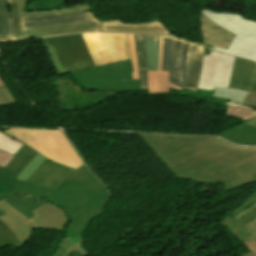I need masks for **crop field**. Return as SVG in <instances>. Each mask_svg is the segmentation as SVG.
I'll list each match as a JSON object with an SVG mask.
<instances>
[{"mask_svg":"<svg viewBox=\"0 0 256 256\" xmlns=\"http://www.w3.org/2000/svg\"><path fill=\"white\" fill-rule=\"evenodd\" d=\"M204 47L179 38L164 36L162 70H169V81L196 91Z\"/></svg>","mask_w":256,"mask_h":256,"instance_id":"crop-field-3","label":"crop field"},{"mask_svg":"<svg viewBox=\"0 0 256 256\" xmlns=\"http://www.w3.org/2000/svg\"><path fill=\"white\" fill-rule=\"evenodd\" d=\"M161 35L160 48H159V71H148V83L150 95L156 94H170V88L181 89L168 82V71H161Z\"/></svg>","mask_w":256,"mask_h":256,"instance_id":"crop-field-19","label":"crop field"},{"mask_svg":"<svg viewBox=\"0 0 256 256\" xmlns=\"http://www.w3.org/2000/svg\"><path fill=\"white\" fill-rule=\"evenodd\" d=\"M243 243L247 246L250 252L242 256H256V240L252 239L244 241Z\"/></svg>","mask_w":256,"mask_h":256,"instance_id":"crop-field-35","label":"crop field"},{"mask_svg":"<svg viewBox=\"0 0 256 256\" xmlns=\"http://www.w3.org/2000/svg\"><path fill=\"white\" fill-rule=\"evenodd\" d=\"M73 171L46 158L27 181L56 188Z\"/></svg>","mask_w":256,"mask_h":256,"instance_id":"crop-field-13","label":"crop field"},{"mask_svg":"<svg viewBox=\"0 0 256 256\" xmlns=\"http://www.w3.org/2000/svg\"><path fill=\"white\" fill-rule=\"evenodd\" d=\"M102 31L105 32H128V33H150L169 34L165 27L158 21L146 24H123L121 21H102Z\"/></svg>","mask_w":256,"mask_h":256,"instance_id":"crop-field-14","label":"crop field"},{"mask_svg":"<svg viewBox=\"0 0 256 256\" xmlns=\"http://www.w3.org/2000/svg\"><path fill=\"white\" fill-rule=\"evenodd\" d=\"M131 60L73 73L85 90H140L139 80L132 81Z\"/></svg>","mask_w":256,"mask_h":256,"instance_id":"crop-field-7","label":"crop field"},{"mask_svg":"<svg viewBox=\"0 0 256 256\" xmlns=\"http://www.w3.org/2000/svg\"><path fill=\"white\" fill-rule=\"evenodd\" d=\"M40 153L32 160V162L20 173L16 179L26 181L27 178L32 174V172L40 165V163L45 159Z\"/></svg>","mask_w":256,"mask_h":256,"instance_id":"crop-field-31","label":"crop field"},{"mask_svg":"<svg viewBox=\"0 0 256 256\" xmlns=\"http://www.w3.org/2000/svg\"><path fill=\"white\" fill-rule=\"evenodd\" d=\"M14 191L45 197L67 209L73 222L68 231L81 233L86 222L106 203L108 190L82 165L56 189L15 180Z\"/></svg>","mask_w":256,"mask_h":256,"instance_id":"crop-field-2","label":"crop field"},{"mask_svg":"<svg viewBox=\"0 0 256 256\" xmlns=\"http://www.w3.org/2000/svg\"><path fill=\"white\" fill-rule=\"evenodd\" d=\"M5 247L1 242H0V249Z\"/></svg>","mask_w":256,"mask_h":256,"instance_id":"crop-field-43","label":"crop field"},{"mask_svg":"<svg viewBox=\"0 0 256 256\" xmlns=\"http://www.w3.org/2000/svg\"><path fill=\"white\" fill-rule=\"evenodd\" d=\"M12 171H8L0 167V200L7 199L13 203L20 197V193L12 191L14 180L9 178L12 174ZM6 214L3 210L0 209V216Z\"/></svg>","mask_w":256,"mask_h":256,"instance_id":"crop-field-23","label":"crop field"},{"mask_svg":"<svg viewBox=\"0 0 256 256\" xmlns=\"http://www.w3.org/2000/svg\"><path fill=\"white\" fill-rule=\"evenodd\" d=\"M244 228L254 236L256 234V219H254L251 223L247 224Z\"/></svg>","mask_w":256,"mask_h":256,"instance_id":"crop-field-39","label":"crop field"},{"mask_svg":"<svg viewBox=\"0 0 256 256\" xmlns=\"http://www.w3.org/2000/svg\"><path fill=\"white\" fill-rule=\"evenodd\" d=\"M37 154L38 152L24 144L22 149L13 156L4 168L15 171L11 178H16Z\"/></svg>","mask_w":256,"mask_h":256,"instance_id":"crop-field-20","label":"crop field"},{"mask_svg":"<svg viewBox=\"0 0 256 256\" xmlns=\"http://www.w3.org/2000/svg\"><path fill=\"white\" fill-rule=\"evenodd\" d=\"M18 10H24L27 4L26 0H13Z\"/></svg>","mask_w":256,"mask_h":256,"instance_id":"crop-field-40","label":"crop field"},{"mask_svg":"<svg viewBox=\"0 0 256 256\" xmlns=\"http://www.w3.org/2000/svg\"><path fill=\"white\" fill-rule=\"evenodd\" d=\"M43 40L58 76L96 66L82 34Z\"/></svg>","mask_w":256,"mask_h":256,"instance_id":"crop-field-5","label":"crop field"},{"mask_svg":"<svg viewBox=\"0 0 256 256\" xmlns=\"http://www.w3.org/2000/svg\"><path fill=\"white\" fill-rule=\"evenodd\" d=\"M16 40L13 19L5 0H0V42Z\"/></svg>","mask_w":256,"mask_h":256,"instance_id":"crop-field-22","label":"crop field"},{"mask_svg":"<svg viewBox=\"0 0 256 256\" xmlns=\"http://www.w3.org/2000/svg\"><path fill=\"white\" fill-rule=\"evenodd\" d=\"M214 96L228 98L232 101L242 103L247 92L240 91L232 88H215Z\"/></svg>","mask_w":256,"mask_h":256,"instance_id":"crop-field-27","label":"crop field"},{"mask_svg":"<svg viewBox=\"0 0 256 256\" xmlns=\"http://www.w3.org/2000/svg\"><path fill=\"white\" fill-rule=\"evenodd\" d=\"M136 51L140 71L141 90L148 89L147 70H158L160 35H136Z\"/></svg>","mask_w":256,"mask_h":256,"instance_id":"crop-field-11","label":"crop field"},{"mask_svg":"<svg viewBox=\"0 0 256 256\" xmlns=\"http://www.w3.org/2000/svg\"><path fill=\"white\" fill-rule=\"evenodd\" d=\"M243 103L256 107V94L248 92Z\"/></svg>","mask_w":256,"mask_h":256,"instance_id":"crop-field-36","label":"crop field"},{"mask_svg":"<svg viewBox=\"0 0 256 256\" xmlns=\"http://www.w3.org/2000/svg\"><path fill=\"white\" fill-rule=\"evenodd\" d=\"M3 133L27 144L54 162L73 169L83 164L61 131L10 129Z\"/></svg>","mask_w":256,"mask_h":256,"instance_id":"crop-field-4","label":"crop field"},{"mask_svg":"<svg viewBox=\"0 0 256 256\" xmlns=\"http://www.w3.org/2000/svg\"><path fill=\"white\" fill-rule=\"evenodd\" d=\"M256 217V210L247 214L244 218L239 221H234L231 216H227L220 223L225 226L230 232H232L241 241L252 239L253 236L247 232L243 227L249 223L253 218Z\"/></svg>","mask_w":256,"mask_h":256,"instance_id":"crop-field-21","label":"crop field"},{"mask_svg":"<svg viewBox=\"0 0 256 256\" xmlns=\"http://www.w3.org/2000/svg\"><path fill=\"white\" fill-rule=\"evenodd\" d=\"M60 93V98L63 101L65 108L70 109L77 105H87L88 97L85 93L81 91L73 90L71 87L62 88L58 86Z\"/></svg>","mask_w":256,"mask_h":256,"instance_id":"crop-field-24","label":"crop field"},{"mask_svg":"<svg viewBox=\"0 0 256 256\" xmlns=\"http://www.w3.org/2000/svg\"><path fill=\"white\" fill-rule=\"evenodd\" d=\"M225 116L237 118L239 120L247 121L251 119L252 117L256 116V111L249 110L246 108L239 107L238 109L228 106L225 114Z\"/></svg>","mask_w":256,"mask_h":256,"instance_id":"crop-field-29","label":"crop field"},{"mask_svg":"<svg viewBox=\"0 0 256 256\" xmlns=\"http://www.w3.org/2000/svg\"><path fill=\"white\" fill-rule=\"evenodd\" d=\"M2 86H5V85H4L3 81L0 78V87H2Z\"/></svg>","mask_w":256,"mask_h":256,"instance_id":"crop-field-42","label":"crop field"},{"mask_svg":"<svg viewBox=\"0 0 256 256\" xmlns=\"http://www.w3.org/2000/svg\"><path fill=\"white\" fill-rule=\"evenodd\" d=\"M24 194L21 195V197L17 200L15 204L5 200L10 205H12L15 209H17L20 213H22L25 217L28 219L33 218L34 214L31 212L32 210L40 207L44 203H40L38 201L41 200V198H35L33 196H30L29 200L22 199Z\"/></svg>","mask_w":256,"mask_h":256,"instance_id":"crop-field-25","label":"crop field"},{"mask_svg":"<svg viewBox=\"0 0 256 256\" xmlns=\"http://www.w3.org/2000/svg\"><path fill=\"white\" fill-rule=\"evenodd\" d=\"M219 136L237 144L256 145V117Z\"/></svg>","mask_w":256,"mask_h":256,"instance_id":"crop-field-18","label":"crop field"},{"mask_svg":"<svg viewBox=\"0 0 256 256\" xmlns=\"http://www.w3.org/2000/svg\"><path fill=\"white\" fill-rule=\"evenodd\" d=\"M255 238H256V236H255Z\"/></svg>","mask_w":256,"mask_h":256,"instance_id":"crop-field-44","label":"crop field"},{"mask_svg":"<svg viewBox=\"0 0 256 256\" xmlns=\"http://www.w3.org/2000/svg\"><path fill=\"white\" fill-rule=\"evenodd\" d=\"M0 241L5 245L23 246L11 230L0 220Z\"/></svg>","mask_w":256,"mask_h":256,"instance_id":"crop-field-28","label":"crop field"},{"mask_svg":"<svg viewBox=\"0 0 256 256\" xmlns=\"http://www.w3.org/2000/svg\"><path fill=\"white\" fill-rule=\"evenodd\" d=\"M255 62L235 57L233 74L230 82L232 88L248 91ZM241 84V86L239 85Z\"/></svg>","mask_w":256,"mask_h":256,"instance_id":"crop-field-17","label":"crop field"},{"mask_svg":"<svg viewBox=\"0 0 256 256\" xmlns=\"http://www.w3.org/2000/svg\"><path fill=\"white\" fill-rule=\"evenodd\" d=\"M225 104L226 105H232V106H234V107H238V106H242V105H239V104H236V103H232V102H228V101H226L225 102ZM242 107H246V106H242ZM246 108H250V107H246ZM250 109H253L254 110V108H250Z\"/></svg>","mask_w":256,"mask_h":256,"instance_id":"crop-field-41","label":"crop field"},{"mask_svg":"<svg viewBox=\"0 0 256 256\" xmlns=\"http://www.w3.org/2000/svg\"><path fill=\"white\" fill-rule=\"evenodd\" d=\"M199 24L203 34L204 43L228 49L234 34L212 23L201 13Z\"/></svg>","mask_w":256,"mask_h":256,"instance_id":"crop-field-15","label":"crop field"},{"mask_svg":"<svg viewBox=\"0 0 256 256\" xmlns=\"http://www.w3.org/2000/svg\"><path fill=\"white\" fill-rule=\"evenodd\" d=\"M201 13L212 22L236 34L228 50L214 46L213 49L256 61L255 21L246 20L236 14L212 12L205 9Z\"/></svg>","mask_w":256,"mask_h":256,"instance_id":"crop-field-8","label":"crop field"},{"mask_svg":"<svg viewBox=\"0 0 256 256\" xmlns=\"http://www.w3.org/2000/svg\"><path fill=\"white\" fill-rule=\"evenodd\" d=\"M128 37H129V44H130L133 69H134V73H132V77H133V80H136V79H139V71H138V64H137V58H136L134 36L133 34H128Z\"/></svg>","mask_w":256,"mask_h":256,"instance_id":"crop-field-32","label":"crop field"},{"mask_svg":"<svg viewBox=\"0 0 256 256\" xmlns=\"http://www.w3.org/2000/svg\"><path fill=\"white\" fill-rule=\"evenodd\" d=\"M138 135L181 179L221 182L227 191L256 181V148L207 136Z\"/></svg>","mask_w":256,"mask_h":256,"instance_id":"crop-field-1","label":"crop field"},{"mask_svg":"<svg viewBox=\"0 0 256 256\" xmlns=\"http://www.w3.org/2000/svg\"><path fill=\"white\" fill-rule=\"evenodd\" d=\"M7 3L10 8L13 19H14V29H15V33H16V38H17V40L22 39L21 26H20V22H19V18H18L17 9H16L14 3L12 2V0H7Z\"/></svg>","mask_w":256,"mask_h":256,"instance_id":"crop-field-33","label":"crop field"},{"mask_svg":"<svg viewBox=\"0 0 256 256\" xmlns=\"http://www.w3.org/2000/svg\"><path fill=\"white\" fill-rule=\"evenodd\" d=\"M12 155L0 150V166L3 167L10 159Z\"/></svg>","mask_w":256,"mask_h":256,"instance_id":"crop-field-37","label":"crop field"},{"mask_svg":"<svg viewBox=\"0 0 256 256\" xmlns=\"http://www.w3.org/2000/svg\"><path fill=\"white\" fill-rule=\"evenodd\" d=\"M255 208H256V203L254 205H252L251 207L238 213L236 216L233 217V219L237 221V220L241 219L242 217H244L247 213L251 212Z\"/></svg>","mask_w":256,"mask_h":256,"instance_id":"crop-field-38","label":"crop field"},{"mask_svg":"<svg viewBox=\"0 0 256 256\" xmlns=\"http://www.w3.org/2000/svg\"><path fill=\"white\" fill-rule=\"evenodd\" d=\"M90 10L88 3L84 5H79L66 9L52 10V11H18L19 15H44V14H54L58 13L59 15L78 13Z\"/></svg>","mask_w":256,"mask_h":256,"instance_id":"crop-field-26","label":"crop field"},{"mask_svg":"<svg viewBox=\"0 0 256 256\" xmlns=\"http://www.w3.org/2000/svg\"><path fill=\"white\" fill-rule=\"evenodd\" d=\"M92 31H100V22L86 23V24H72V25L61 26V27L28 30V31H23V34H24V39H28V38H36V37H44V36H52V35L70 34L75 32H92Z\"/></svg>","mask_w":256,"mask_h":256,"instance_id":"crop-field-16","label":"crop field"},{"mask_svg":"<svg viewBox=\"0 0 256 256\" xmlns=\"http://www.w3.org/2000/svg\"><path fill=\"white\" fill-rule=\"evenodd\" d=\"M20 18L23 30L98 21L92 16L91 11L65 16H58L55 14L44 16H20Z\"/></svg>","mask_w":256,"mask_h":256,"instance_id":"crop-field-12","label":"crop field"},{"mask_svg":"<svg viewBox=\"0 0 256 256\" xmlns=\"http://www.w3.org/2000/svg\"><path fill=\"white\" fill-rule=\"evenodd\" d=\"M22 143L0 133V149L14 155L21 147Z\"/></svg>","mask_w":256,"mask_h":256,"instance_id":"crop-field-30","label":"crop field"},{"mask_svg":"<svg viewBox=\"0 0 256 256\" xmlns=\"http://www.w3.org/2000/svg\"><path fill=\"white\" fill-rule=\"evenodd\" d=\"M234 57L211 50L204 55L198 88L213 90L214 87H228Z\"/></svg>","mask_w":256,"mask_h":256,"instance_id":"crop-field-10","label":"crop field"},{"mask_svg":"<svg viewBox=\"0 0 256 256\" xmlns=\"http://www.w3.org/2000/svg\"><path fill=\"white\" fill-rule=\"evenodd\" d=\"M0 208L8 213L0 219L14 232L22 244L31 238L32 228L63 230L68 221L63 210L49 203L33 211L36 216L31 220L4 201H0Z\"/></svg>","mask_w":256,"mask_h":256,"instance_id":"crop-field-6","label":"crop field"},{"mask_svg":"<svg viewBox=\"0 0 256 256\" xmlns=\"http://www.w3.org/2000/svg\"><path fill=\"white\" fill-rule=\"evenodd\" d=\"M97 66L130 59L127 34H83Z\"/></svg>","mask_w":256,"mask_h":256,"instance_id":"crop-field-9","label":"crop field"},{"mask_svg":"<svg viewBox=\"0 0 256 256\" xmlns=\"http://www.w3.org/2000/svg\"><path fill=\"white\" fill-rule=\"evenodd\" d=\"M17 103L6 87L0 88V106Z\"/></svg>","mask_w":256,"mask_h":256,"instance_id":"crop-field-34","label":"crop field"}]
</instances>
